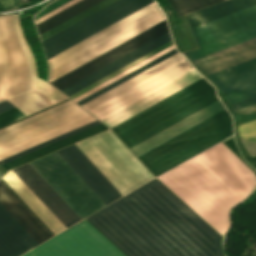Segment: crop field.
Returning a JSON list of instances; mask_svg holds the SVG:
<instances>
[{
    "label": "crop field",
    "instance_id": "3",
    "mask_svg": "<svg viewBox=\"0 0 256 256\" xmlns=\"http://www.w3.org/2000/svg\"><path fill=\"white\" fill-rule=\"evenodd\" d=\"M0 80L7 99L26 114L67 98L37 78L33 55L16 16L0 17Z\"/></svg>",
    "mask_w": 256,
    "mask_h": 256
},
{
    "label": "crop field",
    "instance_id": "37",
    "mask_svg": "<svg viewBox=\"0 0 256 256\" xmlns=\"http://www.w3.org/2000/svg\"><path fill=\"white\" fill-rule=\"evenodd\" d=\"M243 140H248V141L256 142V135L250 136V137L245 138ZM243 140H241V141L245 145V147L248 150V152L250 153L251 157L256 156V143H252V142H248V141H243Z\"/></svg>",
    "mask_w": 256,
    "mask_h": 256
},
{
    "label": "crop field",
    "instance_id": "42",
    "mask_svg": "<svg viewBox=\"0 0 256 256\" xmlns=\"http://www.w3.org/2000/svg\"><path fill=\"white\" fill-rule=\"evenodd\" d=\"M5 98H6V97H5L3 88H2L1 83H0V100L5 99Z\"/></svg>",
    "mask_w": 256,
    "mask_h": 256
},
{
    "label": "crop field",
    "instance_id": "14",
    "mask_svg": "<svg viewBox=\"0 0 256 256\" xmlns=\"http://www.w3.org/2000/svg\"><path fill=\"white\" fill-rule=\"evenodd\" d=\"M166 31L163 20L50 83L60 90Z\"/></svg>",
    "mask_w": 256,
    "mask_h": 256
},
{
    "label": "crop field",
    "instance_id": "41",
    "mask_svg": "<svg viewBox=\"0 0 256 256\" xmlns=\"http://www.w3.org/2000/svg\"><path fill=\"white\" fill-rule=\"evenodd\" d=\"M12 107H14L12 104H10L7 101H3V102L0 103V112L5 111L7 109H10Z\"/></svg>",
    "mask_w": 256,
    "mask_h": 256
},
{
    "label": "crop field",
    "instance_id": "40",
    "mask_svg": "<svg viewBox=\"0 0 256 256\" xmlns=\"http://www.w3.org/2000/svg\"><path fill=\"white\" fill-rule=\"evenodd\" d=\"M255 103H256V96H254L252 98H249V99H246L244 101L238 102L236 104H233V107H234V110L236 111V110H239L241 108L250 106V105L255 104Z\"/></svg>",
    "mask_w": 256,
    "mask_h": 256
},
{
    "label": "crop field",
    "instance_id": "34",
    "mask_svg": "<svg viewBox=\"0 0 256 256\" xmlns=\"http://www.w3.org/2000/svg\"><path fill=\"white\" fill-rule=\"evenodd\" d=\"M24 117H26V115H24L20 110L14 107L3 113H0V127Z\"/></svg>",
    "mask_w": 256,
    "mask_h": 256
},
{
    "label": "crop field",
    "instance_id": "10",
    "mask_svg": "<svg viewBox=\"0 0 256 256\" xmlns=\"http://www.w3.org/2000/svg\"><path fill=\"white\" fill-rule=\"evenodd\" d=\"M199 49L186 52L193 60L256 37V5L191 29Z\"/></svg>",
    "mask_w": 256,
    "mask_h": 256
},
{
    "label": "crop field",
    "instance_id": "22",
    "mask_svg": "<svg viewBox=\"0 0 256 256\" xmlns=\"http://www.w3.org/2000/svg\"><path fill=\"white\" fill-rule=\"evenodd\" d=\"M0 203L38 244L53 237L1 180Z\"/></svg>",
    "mask_w": 256,
    "mask_h": 256
},
{
    "label": "crop field",
    "instance_id": "36",
    "mask_svg": "<svg viewBox=\"0 0 256 256\" xmlns=\"http://www.w3.org/2000/svg\"><path fill=\"white\" fill-rule=\"evenodd\" d=\"M70 0H57L55 2H53L52 4H50L49 6H47L45 9H43L41 12H39L37 15L34 16V20L45 15L46 13L56 9L57 7L67 3Z\"/></svg>",
    "mask_w": 256,
    "mask_h": 256
},
{
    "label": "crop field",
    "instance_id": "44",
    "mask_svg": "<svg viewBox=\"0 0 256 256\" xmlns=\"http://www.w3.org/2000/svg\"><path fill=\"white\" fill-rule=\"evenodd\" d=\"M2 176V174L0 173V177Z\"/></svg>",
    "mask_w": 256,
    "mask_h": 256
},
{
    "label": "crop field",
    "instance_id": "21",
    "mask_svg": "<svg viewBox=\"0 0 256 256\" xmlns=\"http://www.w3.org/2000/svg\"><path fill=\"white\" fill-rule=\"evenodd\" d=\"M170 40L166 32L60 91L69 96Z\"/></svg>",
    "mask_w": 256,
    "mask_h": 256
},
{
    "label": "crop field",
    "instance_id": "32",
    "mask_svg": "<svg viewBox=\"0 0 256 256\" xmlns=\"http://www.w3.org/2000/svg\"><path fill=\"white\" fill-rule=\"evenodd\" d=\"M171 44H173V41H170V42H168V43L162 45L161 47H159V48L153 50L152 52H150V53H148V54L142 56L141 58H139V59H137V60L131 62L130 64H128V65L122 67L121 69H119V70H117V71L111 73L110 75H108V76H106V77L100 79L99 81H97V82H95V83L89 85L88 87H86V88L80 90L79 92H77V93H75V94H73V95H71V96H69V97H71V98L73 99V98H75V97L81 95L82 93H84V92L90 90L91 88H93V87L99 85L100 83H102V82L108 80L109 78H111V77L117 75L118 73H120V72H122V71L128 69L129 67H131V66L137 64L138 62H140V61L146 59L147 57H149V56L155 54L156 52H158V51L164 49L165 47H167V46H169V45H171Z\"/></svg>",
    "mask_w": 256,
    "mask_h": 256
},
{
    "label": "crop field",
    "instance_id": "18",
    "mask_svg": "<svg viewBox=\"0 0 256 256\" xmlns=\"http://www.w3.org/2000/svg\"><path fill=\"white\" fill-rule=\"evenodd\" d=\"M57 153L107 205L122 196L75 144Z\"/></svg>",
    "mask_w": 256,
    "mask_h": 256
},
{
    "label": "crop field",
    "instance_id": "6",
    "mask_svg": "<svg viewBox=\"0 0 256 256\" xmlns=\"http://www.w3.org/2000/svg\"><path fill=\"white\" fill-rule=\"evenodd\" d=\"M96 120L71 100L0 130V159Z\"/></svg>",
    "mask_w": 256,
    "mask_h": 256
},
{
    "label": "crop field",
    "instance_id": "39",
    "mask_svg": "<svg viewBox=\"0 0 256 256\" xmlns=\"http://www.w3.org/2000/svg\"><path fill=\"white\" fill-rule=\"evenodd\" d=\"M18 0H0V11L16 8Z\"/></svg>",
    "mask_w": 256,
    "mask_h": 256
},
{
    "label": "crop field",
    "instance_id": "7",
    "mask_svg": "<svg viewBox=\"0 0 256 256\" xmlns=\"http://www.w3.org/2000/svg\"><path fill=\"white\" fill-rule=\"evenodd\" d=\"M232 134L225 109L138 158L157 176Z\"/></svg>",
    "mask_w": 256,
    "mask_h": 256
},
{
    "label": "crop field",
    "instance_id": "24",
    "mask_svg": "<svg viewBox=\"0 0 256 256\" xmlns=\"http://www.w3.org/2000/svg\"><path fill=\"white\" fill-rule=\"evenodd\" d=\"M183 58L177 53L81 106L88 111Z\"/></svg>",
    "mask_w": 256,
    "mask_h": 256
},
{
    "label": "crop field",
    "instance_id": "35",
    "mask_svg": "<svg viewBox=\"0 0 256 256\" xmlns=\"http://www.w3.org/2000/svg\"><path fill=\"white\" fill-rule=\"evenodd\" d=\"M237 129L241 139L253 135L256 133V120L238 126Z\"/></svg>",
    "mask_w": 256,
    "mask_h": 256
},
{
    "label": "crop field",
    "instance_id": "5",
    "mask_svg": "<svg viewBox=\"0 0 256 256\" xmlns=\"http://www.w3.org/2000/svg\"><path fill=\"white\" fill-rule=\"evenodd\" d=\"M165 19L154 3L48 59L49 82Z\"/></svg>",
    "mask_w": 256,
    "mask_h": 256
},
{
    "label": "crop field",
    "instance_id": "26",
    "mask_svg": "<svg viewBox=\"0 0 256 256\" xmlns=\"http://www.w3.org/2000/svg\"><path fill=\"white\" fill-rule=\"evenodd\" d=\"M106 128H107V127H105L104 125L100 124V125H98V126H95V127L91 128V129H88V130H86V131H83V132H81V133H79V134H76V135H74V136H71V137H69V138H67V139H64V140H62V141H59V142H57V143H55V144H52V145H50V146H47V147H45V148H43V149H40V150H38V151H35V152L31 153V154H28V155H26V156H23V157H21V158H19V159H16V160H14V161H11V162H9V163H7V164H4V165H2V166H3L6 170H10V169H12V168H14V167H17V166H19V165H21V164H24V163H26V162H29V161H31V160H33V159H36V158H38V157H40V156H43V155H45V154H47V153H50V152L54 151V150H57V149H59V148H62V147H64V146H66V145H69V144H71V143H73V142H76V141H78V140H80V139H83V138H85V137H87V136H90V135H92V134H95V133H97V132H99V131H102V130H104V129H106Z\"/></svg>",
    "mask_w": 256,
    "mask_h": 256
},
{
    "label": "crop field",
    "instance_id": "13",
    "mask_svg": "<svg viewBox=\"0 0 256 256\" xmlns=\"http://www.w3.org/2000/svg\"><path fill=\"white\" fill-rule=\"evenodd\" d=\"M23 256H124L82 221Z\"/></svg>",
    "mask_w": 256,
    "mask_h": 256
},
{
    "label": "crop field",
    "instance_id": "20",
    "mask_svg": "<svg viewBox=\"0 0 256 256\" xmlns=\"http://www.w3.org/2000/svg\"><path fill=\"white\" fill-rule=\"evenodd\" d=\"M256 57V38L193 61L206 75Z\"/></svg>",
    "mask_w": 256,
    "mask_h": 256
},
{
    "label": "crop field",
    "instance_id": "1",
    "mask_svg": "<svg viewBox=\"0 0 256 256\" xmlns=\"http://www.w3.org/2000/svg\"><path fill=\"white\" fill-rule=\"evenodd\" d=\"M86 220L127 256H222L220 236L157 179Z\"/></svg>",
    "mask_w": 256,
    "mask_h": 256
},
{
    "label": "crop field",
    "instance_id": "33",
    "mask_svg": "<svg viewBox=\"0 0 256 256\" xmlns=\"http://www.w3.org/2000/svg\"><path fill=\"white\" fill-rule=\"evenodd\" d=\"M173 48H175L174 44L171 45V46H169V47H167V48H165L164 50H162V51L156 53L155 55H153V56L147 58L146 60H144V61L138 63L137 65H135V66L129 68L128 70H126V71H124V72L118 74L117 76H115V77L109 79L108 81H106V82L100 84L99 86H97V87L91 89L90 91H88V92L82 94L81 96H79V97H77V98H75V99H73V100L76 102V101H78V100L84 98L85 96H87V95H89V94L95 92L96 90H98V89L104 87L105 85H107V84H109V83L115 81L116 79H118V78L124 76L125 74H127V73H129V72L135 70L136 68H138V67L144 65L145 63H147V62H149V61L155 59L156 57H158V56L164 54L165 52H167V51H169V50H171V49H173Z\"/></svg>",
    "mask_w": 256,
    "mask_h": 256
},
{
    "label": "crop field",
    "instance_id": "9",
    "mask_svg": "<svg viewBox=\"0 0 256 256\" xmlns=\"http://www.w3.org/2000/svg\"><path fill=\"white\" fill-rule=\"evenodd\" d=\"M13 171L66 228L81 220L29 163ZM13 171L10 170L3 178L10 187L55 235L66 229Z\"/></svg>",
    "mask_w": 256,
    "mask_h": 256
},
{
    "label": "crop field",
    "instance_id": "17",
    "mask_svg": "<svg viewBox=\"0 0 256 256\" xmlns=\"http://www.w3.org/2000/svg\"><path fill=\"white\" fill-rule=\"evenodd\" d=\"M191 68L185 58L88 112L100 119Z\"/></svg>",
    "mask_w": 256,
    "mask_h": 256
},
{
    "label": "crop field",
    "instance_id": "12",
    "mask_svg": "<svg viewBox=\"0 0 256 256\" xmlns=\"http://www.w3.org/2000/svg\"><path fill=\"white\" fill-rule=\"evenodd\" d=\"M154 2L153 0H118L52 37L42 41L47 58L71 47L107 26Z\"/></svg>",
    "mask_w": 256,
    "mask_h": 256
},
{
    "label": "crop field",
    "instance_id": "15",
    "mask_svg": "<svg viewBox=\"0 0 256 256\" xmlns=\"http://www.w3.org/2000/svg\"><path fill=\"white\" fill-rule=\"evenodd\" d=\"M201 78L193 68L100 120L111 128Z\"/></svg>",
    "mask_w": 256,
    "mask_h": 256
},
{
    "label": "crop field",
    "instance_id": "38",
    "mask_svg": "<svg viewBox=\"0 0 256 256\" xmlns=\"http://www.w3.org/2000/svg\"><path fill=\"white\" fill-rule=\"evenodd\" d=\"M78 1H80V0H72V1L68 2L67 4H65V5H63V6L59 7V8H57L56 10H54V11H52V12L46 14L45 16H43V17H41V18L35 20V23L38 24V23L44 21L45 19H47V18L53 16L54 14H56V13L62 11L63 9H65V8H67V7H69V6H71L72 4H74V3L78 2Z\"/></svg>",
    "mask_w": 256,
    "mask_h": 256
},
{
    "label": "crop field",
    "instance_id": "23",
    "mask_svg": "<svg viewBox=\"0 0 256 256\" xmlns=\"http://www.w3.org/2000/svg\"><path fill=\"white\" fill-rule=\"evenodd\" d=\"M223 109L219 100L130 149L138 157Z\"/></svg>",
    "mask_w": 256,
    "mask_h": 256
},
{
    "label": "crop field",
    "instance_id": "31",
    "mask_svg": "<svg viewBox=\"0 0 256 256\" xmlns=\"http://www.w3.org/2000/svg\"><path fill=\"white\" fill-rule=\"evenodd\" d=\"M113 1H115V0H104V1H102V2H100V3H98V4H96L95 6H93V7L89 8V9L85 10L84 12H82V13L76 15L75 17H73V18L67 20L66 22H64V23H62V24H60V25H58L57 27H55V28L49 30L48 32H46V33L40 35L41 40H44V39H46V38L52 36L53 34H55V33L59 32V31H61L62 29H64V28H66V27L72 25L73 23H75V22L81 20L82 18H84V17H86V16L92 14L93 12H95V11H97V10L103 8L104 6H106V5L110 4V3H112Z\"/></svg>",
    "mask_w": 256,
    "mask_h": 256
},
{
    "label": "crop field",
    "instance_id": "16",
    "mask_svg": "<svg viewBox=\"0 0 256 256\" xmlns=\"http://www.w3.org/2000/svg\"><path fill=\"white\" fill-rule=\"evenodd\" d=\"M231 104L256 95V58L208 75Z\"/></svg>",
    "mask_w": 256,
    "mask_h": 256
},
{
    "label": "crop field",
    "instance_id": "19",
    "mask_svg": "<svg viewBox=\"0 0 256 256\" xmlns=\"http://www.w3.org/2000/svg\"><path fill=\"white\" fill-rule=\"evenodd\" d=\"M38 245L0 205V256H18Z\"/></svg>",
    "mask_w": 256,
    "mask_h": 256
},
{
    "label": "crop field",
    "instance_id": "4",
    "mask_svg": "<svg viewBox=\"0 0 256 256\" xmlns=\"http://www.w3.org/2000/svg\"><path fill=\"white\" fill-rule=\"evenodd\" d=\"M203 78L111 128L130 148L219 100Z\"/></svg>",
    "mask_w": 256,
    "mask_h": 256
},
{
    "label": "crop field",
    "instance_id": "28",
    "mask_svg": "<svg viewBox=\"0 0 256 256\" xmlns=\"http://www.w3.org/2000/svg\"><path fill=\"white\" fill-rule=\"evenodd\" d=\"M175 53H177L176 48L173 49V50H171V51H169V52H167L166 54H164V55H162V56L156 58L155 60H153V61L147 63L146 65H144V66H142V67L136 69L135 71H133V72L127 74L126 76H124V77H122V78L116 80L115 82H113V83L107 85L106 87H104V88H102V89L96 91L95 93H93V94L87 96L86 98H84V99H82V100H80V101H78V102H76V103H78V104L81 105V104H83V103H85V102L91 100L92 98H94V97H96V96L102 94L103 92H105V91H107V90L113 88L114 86H116V85H118V84L124 82L125 80H127V79L133 77L134 75H136V74H138V73L144 71L145 69H147V68H149V67L155 65L156 63H158V62H160V61L166 59L167 57H169V56H171V55H173V54H175Z\"/></svg>",
    "mask_w": 256,
    "mask_h": 256
},
{
    "label": "crop field",
    "instance_id": "43",
    "mask_svg": "<svg viewBox=\"0 0 256 256\" xmlns=\"http://www.w3.org/2000/svg\"><path fill=\"white\" fill-rule=\"evenodd\" d=\"M28 1V0H21V2Z\"/></svg>",
    "mask_w": 256,
    "mask_h": 256
},
{
    "label": "crop field",
    "instance_id": "25",
    "mask_svg": "<svg viewBox=\"0 0 256 256\" xmlns=\"http://www.w3.org/2000/svg\"><path fill=\"white\" fill-rule=\"evenodd\" d=\"M255 4L256 0H228L210 8L188 14L187 17L192 28Z\"/></svg>",
    "mask_w": 256,
    "mask_h": 256
},
{
    "label": "crop field",
    "instance_id": "27",
    "mask_svg": "<svg viewBox=\"0 0 256 256\" xmlns=\"http://www.w3.org/2000/svg\"><path fill=\"white\" fill-rule=\"evenodd\" d=\"M102 0H81L80 2L72 5L71 7L63 10L62 12L54 15L53 17L45 20L44 22L36 25L39 31V34H42L49 29L57 26L58 24L66 21L67 19L75 16L76 14L84 11L85 9L95 5L96 3Z\"/></svg>",
    "mask_w": 256,
    "mask_h": 256
},
{
    "label": "crop field",
    "instance_id": "8",
    "mask_svg": "<svg viewBox=\"0 0 256 256\" xmlns=\"http://www.w3.org/2000/svg\"><path fill=\"white\" fill-rule=\"evenodd\" d=\"M76 145L122 195L153 178L111 130Z\"/></svg>",
    "mask_w": 256,
    "mask_h": 256
},
{
    "label": "crop field",
    "instance_id": "30",
    "mask_svg": "<svg viewBox=\"0 0 256 256\" xmlns=\"http://www.w3.org/2000/svg\"><path fill=\"white\" fill-rule=\"evenodd\" d=\"M179 16L223 0H168Z\"/></svg>",
    "mask_w": 256,
    "mask_h": 256
},
{
    "label": "crop field",
    "instance_id": "11",
    "mask_svg": "<svg viewBox=\"0 0 256 256\" xmlns=\"http://www.w3.org/2000/svg\"><path fill=\"white\" fill-rule=\"evenodd\" d=\"M30 164L81 219L106 206L56 152Z\"/></svg>",
    "mask_w": 256,
    "mask_h": 256
},
{
    "label": "crop field",
    "instance_id": "29",
    "mask_svg": "<svg viewBox=\"0 0 256 256\" xmlns=\"http://www.w3.org/2000/svg\"><path fill=\"white\" fill-rule=\"evenodd\" d=\"M98 124H100V122H99L98 120H96V121L91 122V123H89V124H87V125H84V126H82V127H79V128H77V129H75V130H72V131H70V132H67V133H65V134H63V135H60V136H58V137H55V138H53V139H51V140H48V141H46V142H43V143H41V144H39V145H36V146H34V147H31V148H29V149H27V150H24V151H22V152H19V153L15 154V155H12V156H10V157H7V158H5V159H3V160H0V165H2V164H4V163H7V162H9V161H11V160H14V159H16V158H19V157H21V156H23V155H26V154H28V153H31V152H33V151H35V150L40 149V148H43V147H45V146H47V145H50V144H52V143H55V142H57V141H59V140H62V139H64V138H67V137H69V136H71V135H74V134H76V133H79V132H81V131H83V130H86V129H88V128H91V127H93V126H95V125H98Z\"/></svg>",
    "mask_w": 256,
    "mask_h": 256
},
{
    "label": "crop field",
    "instance_id": "2",
    "mask_svg": "<svg viewBox=\"0 0 256 256\" xmlns=\"http://www.w3.org/2000/svg\"><path fill=\"white\" fill-rule=\"evenodd\" d=\"M221 236L256 176L222 142L157 178Z\"/></svg>",
    "mask_w": 256,
    "mask_h": 256
}]
</instances>
